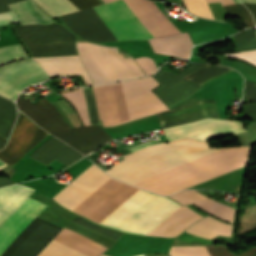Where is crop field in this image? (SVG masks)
Wrapping results in <instances>:
<instances>
[{
	"label": "crop field",
	"instance_id": "crop-field-33",
	"mask_svg": "<svg viewBox=\"0 0 256 256\" xmlns=\"http://www.w3.org/2000/svg\"><path fill=\"white\" fill-rule=\"evenodd\" d=\"M247 132L235 134L240 144L250 146L256 143V123H252L246 128Z\"/></svg>",
	"mask_w": 256,
	"mask_h": 256
},
{
	"label": "crop field",
	"instance_id": "crop-field-18",
	"mask_svg": "<svg viewBox=\"0 0 256 256\" xmlns=\"http://www.w3.org/2000/svg\"><path fill=\"white\" fill-rule=\"evenodd\" d=\"M154 53L187 57L192 41L187 32L150 39Z\"/></svg>",
	"mask_w": 256,
	"mask_h": 256
},
{
	"label": "crop field",
	"instance_id": "crop-field-15",
	"mask_svg": "<svg viewBox=\"0 0 256 256\" xmlns=\"http://www.w3.org/2000/svg\"><path fill=\"white\" fill-rule=\"evenodd\" d=\"M81 157H83L81 153L60 142L53 136L39 146L30 156V158L35 159L47 166L54 159L68 166Z\"/></svg>",
	"mask_w": 256,
	"mask_h": 256
},
{
	"label": "crop field",
	"instance_id": "crop-field-48",
	"mask_svg": "<svg viewBox=\"0 0 256 256\" xmlns=\"http://www.w3.org/2000/svg\"><path fill=\"white\" fill-rule=\"evenodd\" d=\"M101 256H104V255H101ZM138 256H144V254H142V255H138Z\"/></svg>",
	"mask_w": 256,
	"mask_h": 256
},
{
	"label": "crop field",
	"instance_id": "crop-field-7",
	"mask_svg": "<svg viewBox=\"0 0 256 256\" xmlns=\"http://www.w3.org/2000/svg\"><path fill=\"white\" fill-rule=\"evenodd\" d=\"M18 113V120L8 146L0 151V159L10 166L48 135L21 112Z\"/></svg>",
	"mask_w": 256,
	"mask_h": 256
},
{
	"label": "crop field",
	"instance_id": "crop-field-8",
	"mask_svg": "<svg viewBox=\"0 0 256 256\" xmlns=\"http://www.w3.org/2000/svg\"><path fill=\"white\" fill-rule=\"evenodd\" d=\"M60 230L35 218L1 256H36Z\"/></svg>",
	"mask_w": 256,
	"mask_h": 256
},
{
	"label": "crop field",
	"instance_id": "crop-field-36",
	"mask_svg": "<svg viewBox=\"0 0 256 256\" xmlns=\"http://www.w3.org/2000/svg\"><path fill=\"white\" fill-rule=\"evenodd\" d=\"M256 100V90L252 82L245 79L243 102Z\"/></svg>",
	"mask_w": 256,
	"mask_h": 256
},
{
	"label": "crop field",
	"instance_id": "crop-field-12",
	"mask_svg": "<svg viewBox=\"0 0 256 256\" xmlns=\"http://www.w3.org/2000/svg\"><path fill=\"white\" fill-rule=\"evenodd\" d=\"M46 205L29 198L0 227V255ZM26 228V227H25Z\"/></svg>",
	"mask_w": 256,
	"mask_h": 256
},
{
	"label": "crop field",
	"instance_id": "crop-field-4",
	"mask_svg": "<svg viewBox=\"0 0 256 256\" xmlns=\"http://www.w3.org/2000/svg\"><path fill=\"white\" fill-rule=\"evenodd\" d=\"M123 1L154 37L178 33L151 0ZM123 1L118 0L91 9L117 41L153 38Z\"/></svg>",
	"mask_w": 256,
	"mask_h": 256
},
{
	"label": "crop field",
	"instance_id": "crop-field-19",
	"mask_svg": "<svg viewBox=\"0 0 256 256\" xmlns=\"http://www.w3.org/2000/svg\"><path fill=\"white\" fill-rule=\"evenodd\" d=\"M33 189L20 184L0 189V226L27 199Z\"/></svg>",
	"mask_w": 256,
	"mask_h": 256
},
{
	"label": "crop field",
	"instance_id": "crop-field-41",
	"mask_svg": "<svg viewBox=\"0 0 256 256\" xmlns=\"http://www.w3.org/2000/svg\"><path fill=\"white\" fill-rule=\"evenodd\" d=\"M21 0H0V12L9 11L10 9L7 7L6 4H11Z\"/></svg>",
	"mask_w": 256,
	"mask_h": 256
},
{
	"label": "crop field",
	"instance_id": "crop-field-35",
	"mask_svg": "<svg viewBox=\"0 0 256 256\" xmlns=\"http://www.w3.org/2000/svg\"><path fill=\"white\" fill-rule=\"evenodd\" d=\"M227 55L244 59L247 62L256 66V50L245 51V52H236V53H227Z\"/></svg>",
	"mask_w": 256,
	"mask_h": 256
},
{
	"label": "crop field",
	"instance_id": "crop-field-5",
	"mask_svg": "<svg viewBox=\"0 0 256 256\" xmlns=\"http://www.w3.org/2000/svg\"><path fill=\"white\" fill-rule=\"evenodd\" d=\"M49 76L82 74L87 86L92 85L78 55L34 58ZM33 59L0 67V94L14 100L27 86L49 79V76Z\"/></svg>",
	"mask_w": 256,
	"mask_h": 256
},
{
	"label": "crop field",
	"instance_id": "crop-field-28",
	"mask_svg": "<svg viewBox=\"0 0 256 256\" xmlns=\"http://www.w3.org/2000/svg\"><path fill=\"white\" fill-rule=\"evenodd\" d=\"M28 57L20 43L0 47V65Z\"/></svg>",
	"mask_w": 256,
	"mask_h": 256
},
{
	"label": "crop field",
	"instance_id": "crop-field-39",
	"mask_svg": "<svg viewBox=\"0 0 256 256\" xmlns=\"http://www.w3.org/2000/svg\"><path fill=\"white\" fill-rule=\"evenodd\" d=\"M252 103H254V102H252ZM245 115L256 119V103L245 106ZM249 117H247V118H249Z\"/></svg>",
	"mask_w": 256,
	"mask_h": 256
},
{
	"label": "crop field",
	"instance_id": "crop-field-47",
	"mask_svg": "<svg viewBox=\"0 0 256 256\" xmlns=\"http://www.w3.org/2000/svg\"><path fill=\"white\" fill-rule=\"evenodd\" d=\"M105 3H107V2H110V1H113V0H103Z\"/></svg>",
	"mask_w": 256,
	"mask_h": 256
},
{
	"label": "crop field",
	"instance_id": "crop-field-13",
	"mask_svg": "<svg viewBox=\"0 0 256 256\" xmlns=\"http://www.w3.org/2000/svg\"><path fill=\"white\" fill-rule=\"evenodd\" d=\"M17 108L51 134L69 128L54 106L45 99L33 105L18 97Z\"/></svg>",
	"mask_w": 256,
	"mask_h": 256
},
{
	"label": "crop field",
	"instance_id": "crop-field-16",
	"mask_svg": "<svg viewBox=\"0 0 256 256\" xmlns=\"http://www.w3.org/2000/svg\"><path fill=\"white\" fill-rule=\"evenodd\" d=\"M201 215L186 206H181L147 235L176 237L187 226L200 219Z\"/></svg>",
	"mask_w": 256,
	"mask_h": 256
},
{
	"label": "crop field",
	"instance_id": "crop-field-25",
	"mask_svg": "<svg viewBox=\"0 0 256 256\" xmlns=\"http://www.w3.org/2000/svg\"><path fill=\"white\" fill-rule=\"evenodd\" d=\"M8 6L19 19L21 24H50L53 22L50 18L39 11L31 0L17 2Z\"/></svg>",
	"mask_w": 256,
	"mask_h": 256
},
{
	"label": "crop field",
	"instance_id": "crop-field-31",
	"mask_svg": "<svg viewBox=\"0 0 256 256\" xmlns=\"http://www.w3.org/2000/svg\"><path fill=\"white\" fill-rule=\"evenodd\" d=\"M182 2L189 12L214 19L206 0H182Z\"/></svg>",
	"mask_w": 256,
	"mask_h": 256
},
{
	"label": "crop field",
	"instance_id": "crop-field-6",
	"mask_svg": "<svg viewBox=\"0 0 256 256\" xmlns=\"http://www.w3.org/2000/svg\"><path fill=\"white\" fill-rule=\"evenodd\" d=\"M77 49L94 85L145 76L132 58L124 59L115 47L77 43Z\"/></svg>",
	"mask_w": 256,
	"mask_h": 256
},
{
	"label": "crop field",
	"instance_id": "crop-field-2",
	"mask_svg": "<svg viewBox=\"0 0 256 256\" xmlns=\"http://www.w3.org/2000/svg\"><path fill=\"white\" fill-rule=\"evenodd\" d=\"M138 190L108 177L92 165L52 198L98 223ZM178 207L180 205L167 198L139 190L99 224L146 235Z\"/></svg>",
	"mask_w": 256,
	"mask_h": 256
},
{
	"label": "crop field",
	"instance_id": "crop-field-42",
	"mask_svg": "<svg viewBox=\"0 0 256 256\" xmlns=\"http://www.w3.org/2000/svg\"><path fill=\"white\" fill-rule=\"evenodd\" d=\"M160 142H162V141L152 140V141H149V142L140 144V145H138V146L129 148V151H130V152L136 151V150H139V149H141V148H143V147L150 146V145H153V144H156V143H160Z\"/></svg>",
	"mask_w": 256,
	"mask_h": 256
},
{
	"label": "crop field",
	"instance_id": "crop-field-17",
	"mask_svg": "<svg viewBox=\"0 0 256 256\" xmlns=\"http://www.w3.org/2000/svg\"><path fill=\"white\" fill-rule=\"evenodd\" d=\"M177 201H179L182 204L187 203H194L200 200L207 199V197L201 195L200 193L194 191V190H182L174 195L169 196ZM198 207L204 209L205 211L214 214L224 220H227L229 222H233V216H234V208L225 206L223 204L217 203L215 201H212L210 199L194 203Z\"/></svg>",
	"mask_w": 256,
	"mask_h": 256
},
{
	"label": "crop field",
	"instance_id": "crop-field-30",
	"mask_svg": "<svg viewBox=\"0 0 256 256\" xmlns=\"http://www.w3.org/2000/svg\"><path fill=\"white\" fill-rule=\"evenodd\" d=\"M229 16L238 17L243 27H254L249 11L243 5L224 6Z\"/></svg>",
	"mask_w": 256,
	"mask_h": 256
},
{
	"label": "crop field",
	"instance_id": "crop-field-14",
	"mask_svg": "<svg viewBox=\"0 0 256 256\" xmlns=\"http://www.w3.org/2000/svg\"><path fill=\"white\" fill-rule=\"evenodd\" d=\"M54 136L86 155L112 139L97 126L71 128L59 131Z\"/></svg>",
	"mask_w": 256,
	"mask_h": 256
},
{
	"label": "crop field",
	"instance_id": "crop-field-40",
	"mask_svg": "<svg viewBox=\"0 0 256 256\" xmlns=\"http://www.w3.org/2000/svg\"><path fill=\"white\" fill-rule=\"evenodd\" d=\"M242 2H247V3H256V0H241ZM248 9L249 11L252 13L254 20H255V24H256V5L253 4H246L243 3Z\"/></svg>",
	"mask_w": 256,
	"mask_h": 256
},
{
	"label": "crop field",
	"instance_id": "crop-field-43",
	"mask_svg": "<svg viewBox=\"0 0 256 256\" xmlns=\"http://www.w3.org/2000/svg\"><path fill=\"white\" fill-rule=\"evenodd\" d=\"M220 1L222 6L229 4H241L239 0H207V2Z\"/></svg>",
	"mask_w": 256,
	"mask_h": 256
},
{
	"label": "crop field",
	"instance_id": "crop-field-38",
	"mask_svg": "<svg viewBox=\"0 0 256 256\" xmlns=\"http://www.w3.org/2000/svg\"><path fill=\"white\" fill-rule=\"evenodd\" d=\"M17 21H18V19L15 17V15L12 13V11L0 14V25L17 22Z\"/></svg>",
	"mask_w": 256,
	"mask_h": 256
},
{
	"label": "crop field",
	"instance_id": "crop-field-34",
	"mask_svg": "<svg viewBox=\"0 0 256 256\" xmlns=\"http://www.w3.org/2000/svg\"><path fill=\"white\" fill-rule=\"evenodd\" d=\"M135 60L146 75L151 74L157 68L151 58L140 57Z\"/></svg>",
	"mask_w": 256,
	"mask_h": 256
},
{
	"label": "crop field",
	"instance_id": "crop-field-27",
	"mask_svg": "<svg viewBox=\"0 0 256 256\" xmlns=\"http://www.w3.org/2000/svg\"><path fill=\"white\" fill-rule=\"evenodd\" d=\"M232 69L223 66L207 65L202 69L196 71L185 79L190 80L198 85Z\"/></svg>",
	"mask_w": 256,
	"mask_h": 256
},
{
	"label": "crop field",
	"instance_id": "crop-field-29",
	"mask_svg": "<svg viewBox=\"0 0 256 256\" xmlns=\"http://www.w3.org/2000/svg\"><path fill=\"white\" fill-rule=\"evenodd\" d=\"M233 36L240 51L256 49V36L254 29L244 30Z\"/></svg>",
	"mask_w": 256,
	"mask_h": 256
},
{
	"label": "crop field",
	"instance_id": "crop-field-3",
	"mask_svg": "<svg viewBox=\"0 0 256 256\" xmlns=\"http://www.w3.org/2000/svg\"><path fill=\"white\" fill-rule=\"evenodd\" d=\"M159 85L152 78L94 87L104 126H114L168 110L150 91Z\"/></svg>",
	"mask_w": 256,
	"mask_h": 256
},
{
	"label": "crop field",
	"instance_id": "crop-field-23",
	"mask_svg": "<svg viewBox=\"0 0 256 256\" xmlns=\"http://www.w3.org/2000/svg\"><path fill=\"white\" fill-rule=\"evenodd\" d=\"M213 256H234L225 247H209ZM170 256H211L207 246H172L169 251ZM256 254V248H252L237 256H253Z\"/></svg>",
	"mask_w": 256,
	"mask_h": 256
},
{
	"label": "crop field",
	"instance_id": "crop-field-24",
	"mask_svg": "<svg viewBox=\"0 0 256 256\" xmlns=\"http://www.w3.org/2000/svg\"><path fill=\"white\" fill-rule=\"evenodd\" d=\"M231 226L209 216L190 226L186 232L195 236L211 239L217 235L230 236Z\"/></svg>",
	"mask_w": 256,
	"mask_h": 256
},
{
	"label": "crop field",
	"instance_id": "crop-field-10",
	"mask_svg": "<svg viewBox=\"0 0 256 256\" xmlns=\"http://www.w3.org/2000/svg\"><path fill=\"white\" fill-rule=\"evenodd\" d=\"M203 66L205 65L192 63L178 74L160 68L159 72L152 76L160 85L151 91L155 93L166 106L179 101L200 88L183 78Z\"/></svg>",
	"mask_w": 256,
	"mask_h": 256
},
{
	"label": "crop field",
	"instance_id": "crop-field-1",
	"mask_svg": "<svg viewBox=\"0 0 256 256\" xmlns=\"http://www.w3.org/2000/svg\"><path fill=\"white\" fill-rule=\"evenodd\" d=\"M221 148H209L207 141L198 142L185 138L150 146L124 156L126 160L105 172L111 177L133 184ZM250 148L251 146L225 147L134 185L166 195L246 166Z\"/></svg>",
	"mask_w": 256,
	"mask_h": 256
},
{
	"label": "crop field",
	"instance_id": "crop-field-26",
	"mask_svg": "<svg viewBox=\"0 0 256 256\" xmlns=\"http://www.w3.org/2000/svg\"><path fill=\"white\" fill-rule=\"evenodd\" d=\"M16 116V106L0 97V135L8 138Z\"/></svg>",
	"mask_w": 256,
	"mask_h": 256
},
{
	"label": "crop field",
	"instance_id": "crop-field-46",
	"mask_svg": "<svg viewBox=\"0 0 256 256\" xmlns=\"http://www.w3.org/2000/svg\"><path fill=\"white\" fill-rule=\"evenodd\" d=\"M5 165H7V164H5L4 162L0 161V168H2Z\"/></svg>",
	"mask_w": 256,
	"mask_h": 256
},
{
	"label": "crop field",
	"instance_id": "crop-field-44",
	"mask_svg": "<svg viewBox=\"0 0 256 256\" xmlns=\"http://www.w3.org/2000/svg\"><path fill=\"white\" fill-rule=\"evenodd\" d=\"M14 182L0 177V187L13 184Z\"/></svg>",
	"mask_w": 256,
	"mask_h": 256
},
{
	"label": "crop field",
	"instance_id": "crop-field-22",
	"mask_svg": "<svg viewBox=\"0 0 256 256\" xmlns=\"http://www.w3.org/2000/svg\"><path fill=\"white\" fill-rule=\"evenodd\" d=\"M37 3L45 12H47L52 18L58 17L64 14H68L74 11L85 9L88 7L100 5L97 0H33Z\"/></svg>",
	"mask_w": 256,
	"mask_h": 256
},
{
	"label": "crop field",
	"instance_id": "crop-field-11",
	"mask_svg": "<svg viewBox=\"0 0 256 256\" xmlns=\"http://www.w3.org/2000/svg\"><path fill=\"white\" fill-rule=\"evenodd\" d=\"M85 256H98L105 247L95 241L63 228L53 239ZM37 256H82L54 241H50L43 251Z\"/></svg>",
	"mask_w": 256,
	"mask_h": 256
},
{
	"label": "crop field",
	"instance_id": "crop-field-32",
	"mask_svg": "<svg viewBox=\"0 0 256 256\" xmlns=\"http://www.w3.org/2000/svg\"><path fill=\"white\" fill-rule=\"evenodd\" d=\"M72 222L76 223V224H79L81 226H84L88 229H91L95 232H98L102 235H105L107 237H110L114 240H118L119 237L122 235L121 233L117 232V231H113V230H110V229H107V228H104V227H99V226H95L89 222H87L86 220L82 219V218H79V219H76V220H73Z\"/></svg>",
	"mask_w": 256,
	"mask_h": 256
},
{
	"label": "crop field",
	"instance_id": "crop-field-20",
	"mask_svg": "<svg viewBox=\"0 0 256 256\" xmlns=\"http://www.w3.org/2000/svg\"><path fill=\"white\" fill-rule=\"evenodd\" d=\"M157 115L163 128L207 117L201 101L164 111Z\"/></svg>",
	"mask_w": 256,
	"mask_h": 256
},
{
	"label": "crop field",
	"instance_id": "crop-field-9",
	"mask_svg": "<svg viewBox=\"0 0 256 256\" xmlns=\"http://www.w3.org/2000/svg\"><path fill=\"white\" fill-rule=\"evenodd\" d=\"M168 140L191 136L199 140H208L245 131L240 122L204 119L196 122L163 129Z\"/></svg>",
	"mask_w": 256,
	"mask_h": 256
},
{
	"label": "crop field",
	"instance_id": "crop-field-37",
	"mask_svg": "<svg viewBox=\"0 0 256 256\" xmlns=\"http://www.w3.org/2000/svg\"><path fill=\"white\" fill-rule=\"evenodd\" d=\"M202 102L208 117L220 118L214 100H202Z\"/></svg>",
	"mask_w": 256,
	"mask_h": 256
},
{
	"label": "crop field",
	"instance_id": "crop-field-21",
	"mask_svg": "<svg viewBox=\"0 0 256 256\" xmlns=\"http://www.w3.org/2000/svg\"><path fill=\"white\" fill-rule=\"evenodd\" d=\"M83 91H84V95H85V99H86L90 123H91V125L99 124L97 110H96V106H95L91 88L83 87ZM63 95L66 96L68 99H70L73 102V104L75 105L78 113L80 114L84 124L90 125L88 115H87V110H86V104H85V100H84V96H83V92H82V87H79L78 90L70 91Z\"/></svg>",
	"mask_w": 256,
	"mask_h": 256
},
{
	"label": "crop field",
	"instance_id": "crop-field-49",
	"mask_svg": "<svg viewBox=\"0 0 256 256\" xmlns=\"http://www.w3.org/2000/svg\"><path fill=\"white\" fill-rule=\"evenodd\" d=\"M255 84V86H256V83H254Z\"/></svg>",
	"mask_w": 256,
	"mask_h": 256
},
{
	"label": "crop field",
	"instance_id": "crop-field-45",
	"mask_svg": "<svg viewBox=\"0 0 256 256\" xmlns=\"http://www.w3.org/2000/svg\"><path fill=\"white\" fill-rule=\"evenodd\" d=\"M6 140L0 138V150L5 146Z\"/></svg>",
	"mask_w": 256,
	"mask_h": 256
}]
</instances>
